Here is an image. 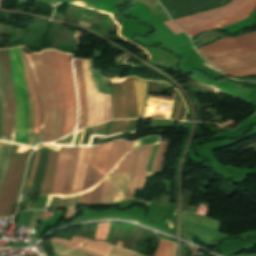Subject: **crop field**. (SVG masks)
I'll list each match as a JSON object with an SVG mask.
<instances>
[{
  "label": "crop field",
  "instance_id": "crop-field-1",
  "mask_svg": "<svg viewBox=\"0 0 256 256\" xmlns=\"http://www.w3.org/2000/svg\"><path fill=\"white\" fill-rule=\"evenodd\" d=\"M21 49L26 85L34 107V133H43L42 146L74 128L75 97L69 58L53 50L24 54Z\"/></svg>",
  "mask_w": 256,
  "mask_h": 256
},
{
  "label": "crop field",
  "instance_id": "crop-field-2",
  "mask_svg": "<svg viewBox=\"0 0 256 256\" xmlns=\"http://www.w3.org/2000/svg\"><path fill=\"white\" fill-rule=\"evenodd\" d=\"M85 147H72L70 156L60 155L50 194H73L84 191L103 179L96 170L81 162ZM123 197L104 179L94 188L82 192L81 203H110Z\"/></svg>",
  "mask_w": 256,
  "mask_h": 256
},
{
  "label": "crop field",
  "instance_id": "crop-field-3",
  "mask_svg": "<svg viewBox=\"0 0 256 256\" xmlns=\"http://www.w3.org/2000/svg\"><path fill=\"white\" fill-rule=\"evenodd\" d=\"M133 143L117 140L104 145L86 147L82 161L105 177L118 161L131 151ZM137 149L126 155L118 166L105 177L123 197L125 196Z\"/></svg>",
  "mask_w": 256,
  "mask_h": 256
},
{
  "label": "crop field",
  "instance_id": "crop-field-4",
  "mask_svg": "<svg viewBox=\"0 0 256 256\" xmlns=\"http://www.w3.org/2000/svg\"><path fill=\"white\" fill-rule=\"evenodd\" d=\"M83 71H84V81L87 91V108H88V117L86 124V91L83 82V72L81 60H74L79 104L81 118L77 127V130L91 126L94 124L101 123L105 120L112 119L111 105H110V96L101 95L92 90L90 86L89 78V60H82ZM111 125V121L105 122L103 124L96 125L95 127L85 131L84 139L82 145H89L92 135L107 136L108 131ZM76 130V131H77Z\"/></svg>",
  "mask_w": 256,
  "mask_h": 256
},
{
  "label": "crop field",
  "instance_id": "crop-field-5",
  "mask_svg": "<svg viewBox=\"0 0 256 256\" xmlns=\"http://www.w3.org/2000/svg\"><path fill=\"white\" fill-rule=\"evenodd\" d=\"M248 0H234L233 2L214 10L206 11L203 13H199L196 15H192L189 17L181 18L178 20H174V22L182 27L190 24H194L197 22L213 19L216 17L228 15L235 11L236 9L243 6ZM256 6V0H249L243 7L238 9L237 11L233 12L232 14L220 18H216L213 20L197 23L194 25L182 27V29L192 38L194 39L198 34L209 31V30H215L220 29L225 26L234 24L236 22H239L246 17H248L253 9Z\"/></svg>",
  "mask_w": 256,
  "mask_h": 256
},
{
  "label": "crop field",
  "instance_id": "crop-field-6",
  "mask_svg": "<svg viewBox=\"0 0 256 256\" xmlns=\"http://www.w3.org/2000/svg\"><path fill=\"white\" fill-rule=\"evenodd\" d=\"M16 98L15 142L27 145L28 99L20 47L8 49Z\"/></svg>",
  "mask_w": 256,
  "mask_h": 256
},
{
  "label": "crop field",
  "instance_id": "crop-field-7",
  "mask_svg": "<svg viewBox=\"0 0 256 256\" xmlns=\"http://www.w3.org/2000/svg\"><path fill=\"white\" fill-rule=\"evenodd\" d=\"M1 140L14 142L15 99L7 49L0 50Z\"/></svg>",
  "mask_w": 256,
  "mask_h": 256
},
{
  "label": "crop field",
  "instance_id": "crop-field-8",
  "mask_svg": "<svg viewBox=\"0 0 256 256\" xmlns=\"http://www.w3.org/2000/svg\"><path fill=\"white\" fill-rule=\"evenodd\" d=\"M29 148L13 145L9 164L0 192V217L10 215L12 205L17 193L23 168L27 159Z\"/></svg>",
  "mask_w": 256,
  "mask_h": 256
},
{
  "label": "crop field",
  "instance_id": "crop-field-9",
  "mask_svg": "<svg viewBox=\"0 0 256 256\" xmlns=\"http://www.w3.org/2000/svg\"><path fill=\"white\" fill-rule=\"evenodd\" d=\"M113 119L138 117L133 77L110 87Z\"/></svg>",
  "mask_w": 256,
  "mask_h": 256
},
{
  "label": "crop field",
  "instance_id": "crop-field-10",
  "mask_svg": "<svg viewBox=\"0 0 256 256\" xmlns=\"http://www.w3.org/2000/svg\"><path fill=\"white\" fill-rule=\"evenodd\" d=\"M203 57L256 51V32L223 38L198 49Z\"/></svg>",
  "mask_w": 256,
  "mask_h": 256
},
{
  "label": "crop field",
  "instance_id": "crop-field-11",
  "mask_svg": "<svg viewBox=\"0 0 256 256\" xmlns=\"http://www.w3.org/2000/svg\"><path fill=\"white\" fill-rule=\"evenodd\" d=\"M163 144L164 143L160 144L157 150V153L153 162L152 172H146V169H147L149 155L154 145L144 146L139 149V153L134 166V170L132 173L126 198L133 197L134 188L143 189L145 176H155L156 162Z\"/></svg>",
  "mask_w": 256,
  "mask_h": 256
},
{
  "label": "crop field",
  "instance_id": "crop-field-12",
  "mask_svg": "<svg viewBox=\"0 0 256 256\" xmlns=\"http://www.w3.org/2000/svg\"><path fill=\"white\" fill-rule=\"evenodd\" d=\"M221 72L256 67V52L205 58Z\"/></svg>",
  "mask_w": 256,
  "mask_h": 256
},
{
  "label": "crop field",
  "instance_id": "crop-field-13",
  "mask_svg": "<svg viewBox=\"0 0 256 256\" xmlns=\"http://www.w3.org/2000/svg\"><path fill=\"white\" fill-rule=\"evenodd\" d=\"M53 241H56L58 243L70 246L72 248L84 251L86 253H89V254H92V255H95V256H106V254H102V253H99V252L88 250V249H85L83 247H78L79 243L82 242V243L87 244V246H86L87 248L107 252V253H109L108 256H140L138 254L129 252V251L124 250V249L115 248V247H111V246L104 245V244H101V243H97V242H94V241L79 239V238H75V237H73L71 241L62 240V239H56V240H53Z\"/></svg>",
  "mask_w": 256,
  "mask_h": 256
},
{
  "label": "crop field",
  "instance_id": "crop-field-14",
  "mask_svg": "<svg viewBox=\"0 0 256 256\" xmlns=\"http://www.w3.org/2000/svg\"><path fill=\"white\" fill-rule=\"evenodd\" d=\"M39 155H40V148L36 150V156H35V160H34V164H33V168L30 174V178H29V182H28V187H27V191L25 196L29 193L30 188H31V183L33 180V176H34V172H35V168L36 165L38 163L39 160ZM59 153L50 150L49 152V161H48V167H47V172H46V176H45V180H44V184L42 187V191L41 192H45V193H49L50 192V188H51V184L53 181V177H54V173H55V169H56V165H57V161L59 158Z\"/></svg>",
  "mask_w": 256,
  "mask_h": 256
},
{
  "label": "crop field",
  "instance_id": "crop-field-15",
  "mask_svg": "<svg viewBox=\"0 0 256 256\" xmlns=\"http://www.w3.org/2000/svg\"><path fill=\"white\" fill-rule=\"evenodd\" d=\"M138 119L113 120L109 135L122 131L134 132Z\"/></svg>",
  "mask_w": 256,
  "mask_h": 256
},
{
  "label": "crop field",
  "instance_id": "crop-field-16",
  "mask_svg": "<svg viewBox=\"0 0 256 256\" xmlns=\"http://www.w3.org/2000/svg\"><path fill=\"white\" fill-rule=\"evenodd\" d=\"M183 216L186 223L185 230L196 235L204 218L190 212H183Z\"/></svg>",
  "mask_w": 256,
  "mask_h": 256
},
{
  "label": "crop field",
  "instance_id": "crop-field-17",
  "mask_svg": "<svg viewBox=\"0 0 256 256\" xmlns=\"http://www.w3.org/2000/svg\"><path fill=\"white\" fill-rule=\"evenodd\" d=\"M12 145L13 144L3 142L0 150V187L4 177L8 159L10 156Z\"/></svg>",
  "mask_w": 256,
  "mask_h": 256
},
{
  "label": "crop field",
  "instance_id": "crop-field-18",
  "mask_svg": "<svg viewBox=\"0 0 256 256\" xmlns=\"http://www.w3.org/2000/svg\"><path fill=\"white\" fill-rule=\"evenodd\" d=\"M174 244L160 240L158 249L154 256H173Z\"/></svg>",
  "mask_w": 256,
  "mask_h": 256
},
{
  "label": "crop field",
  "instance_id": "crop-field-19",
  "mask_svg": "<svg viewBox=\"0 0 256 256\" xmlns=\"http://www.w3.org/2000/svg\"><path fill=\"white\" fill-rule=\"evenodd\" d=\"M224 74L236 76V77H252V76H256V68L248 69V70L233 71V72H225Z\"/></svg>",
  "mask_w": 256,
  "mask_h": 256
},
{
  "label": "crop field",
  "instance_id": "crop-field-20",
  "mask_svg": "<svg viewBox=\"0 0 256 256\" xmlns=\"http://www.w3.org/2000/svg\"><path fill=\"white\" fill-rule=\"evenodd\" d=\"M136 93L147 94L145 81L134 77Z\"/></svg>",
  "mask_w": 256,
  "mask_h": 256
},
{
  "label": "crop field",
  "instance_id": "crop-field-21",
  "mask_svg": "<svg viewBox=\"0 0 256 256\" xmlns=\"http://www.w3.org/2000/svg\"><path fill=\"white\" fill-rule=\"evenodd\" d=\"M169 142L165 143L164 146H163V149H162V151L160 153V156H159V159H158L156 172L160 171V169H161L162 160L164 158V155H165V152L167 150Z\"/></svg>",
  "mask_w": 256,
  "mask_h": 256
},
{
  "label": "crop field",
  "instance_id": "crop-field-22",
  "mask_svg": "<svg viewBox=\"0 0 256 256\" xmlns=\"http://www.w3.org/2000/svg\"><path fill=\"white\" fill-rule=\"evenodd\" d=\"M164 24L170 28L175 34L181 33V31L175 26L172 21L164 22Z\"/></svg>",
  "mask_w": 256,
  "mask_h": 256
},
{
  "label": "crop field",
  "instance_id": "crop-field-23",
  "mask_svg": "<svg viewBox=\"0 0 256 256\" xmlns=\"http://www.w3.org/2000/svg\"><path fill=\"white\" fill-rule=\"evenodd\" d=\"M233 79H235V78H233ZM236 80L244 81V82L256 83V80H251V79H249V78H246V79H236Z\"/></svg>",
  "mask_w": 256,
  "mask_h": 256
},
{
  "label": "crop field",
  "instance_id": "crop-field-24",
  "mask_svg": "<svg viewBox=\"0 0 256 256\" xmlns=\"http://www.w3.org/2000/svg\"><path fill=\"white\" fill-rule=\"evenodd\" d=\"M153 7L156 6L158 3L156 0H147Z\"/></svg>",
  "mask_w": 256,
  "mask_h": 256
},
{
  "label": "crop field",
  "instance_id": "crop-field-25",
  "mask_svg": "<svg viewBox=\"0 0 256 256\" xmlns=\"http://www.w3.org/2000/svg\"><path fill=\"white\" fill-rule=\"evenodd\" d=\"M1 143H2V142H0V147H1Z\"/></svg>",
  "mask_w": 256,
  "mask_h": 256
}]
</instances>
